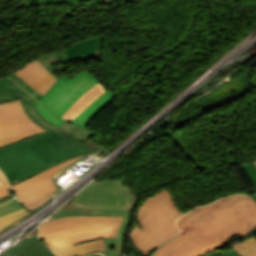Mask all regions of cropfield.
<instances>
[{
    "label": "crop field",
    "mask_w": 256,
    "mask_h": 256,
    "mask_svg": "<svg viewBox=\"0 0 256 256\" xmlns=\"http://www.w3.org/2000/svg\"><path fill=\"white\" fill-rule=\"evenodd\" d=\"M89 151L73 136L48 131L0 148V168L12 185Z\"/></svg>",
    "instance_id": "crop-field-1"
},
{
    "label": "crop field",
    "mask_w": 256,
    "mask_h": 256,
    "mask_svg": "<svg viewBox=\"0 0 256 256\" xmlns=\"http://www.w3.org/2000/svg\"><path fill=\"white\" fill-rule=\"evenodd\" d=\"M182 214L169 190L163 189L145 200L130 239L143 255L148 256L163 241L180 232L173 221Z\"/></svg>",
    "instance_id": "crop-field-2"
},
{
    "label": "crop field",
    "mask_w": 256,
    "mask_h": 256,
    "mask_svg": "<svg viewBox=\"0 0 256 256\" xmlns=\"http://www.w3.org/2000/svg\"><path fill=\"white\" fill-rule=\"evenodd\" d=\"M176 224L186 229L151 256H201L229 243L202 207L194 208Z\"/></svg>",
    "instance_id": "crop-field-3"
},
{
    "label": "crop field",
    "mask_w": 256,
    "mask_h": 256,
    "mask_svg": "<svg viewBox=\"0 0 256 256\" xmlns=\"http://www.w3.org/2000/svg\"><path fill=\"white\" fill-rule=\"evenodd\" d=\"M122 218L73 216L50 220L42 225L40 239L55 251L100 237L113 238L117 234Z\"/></svg>",
    "instance_id": "crop-field-4"
},
{
    "label": "crop field",
    "mask_w": 256,
    "mask_h": 256,
    "mask_svg": "<svg viewBox=\"0 0 256 256\" xmlns=\"http://www.w3.org/2000/svg\"><path fill=\"white\" fill-rule=\"evenodd\" d=\"M96 83L97 78L84 70L73 79L62 76L39 101L62 117L69 107Z\"/></svg>",
    "instance_id": "crop-field-5"
},
{
    "label": "crop field",
    "mask_w": 256,
    "mask_h": 256,
    "mask_svg": "<svg viewBox=\"0 0 256 256\" xmlns=\"http://www.w3.org/2000/svg\"><path fill=\"white\" fill-rule=\"evenodd\" d=\"M44 130L37 126L24 112L20 100L0 104V147L42 134Z\"/></svg>",
    "instance_id": "crop-field-6"
},
{
    "label": "crop field",
    "mask_w": 256,
    "mask_h": 256,
    "mask_svg": "<svg viewBox=\"0 0 256 256\" xmlns=\"http://www.w3.org/2000/svg\"><path fill=\"white\" fill-rule=\"evenodd\" d=\"M123 195L120 181L91 182L72 202V206L102 209L134 210L137 203H128Z\"/></svg>",
    "instance_id": "crop-field-7"
},
{
    "label": "crop field",
    "mask_w": 256,
    "mask_h": 256,
    "mask_svg": "<svg viewBox=\"0 0 256 256\" xmlns=\"http://www.w3.org/2000/svg\"><path fill=\"white\" fill-rule=\"evenodd\" d=\"M81 156L58 164L30 179L10 187L13 193L33 213L50 201L52 193L58 189L51 181L52 176L64 166L80 158Z\"/></svg>",
    "instance_id": "crop-field-8"
},
{
    "label": "crop field",
    "mask_w": 256,
    "mask_h": 256,
    "mask_svg": "<svg viewBox=\"0 0 256 256\" xmlns=\"http://www.w3.org/2000/svg\"><path fill=\"white\" fill-rule=\"evenodd\" d=\"M240 234L256 227V203L251 196L235 195L215 202Z\"/></svg>",
    "instance_id": "crop-field-9"
},
{
    "label": "crop field",
    "mask_w": 256,
    "mask_h": 256,
    "mask_svg": "<svg viewBox=\"0 0 256 256\" xmlns=\"http://www.w3.org/2000/svg\"><path fill=\"white\" fill-rule=\"evenodd\" d=\"M132 211L122 210H102V209H91V208H79V207H67L53 218L73 216V215H94V216H124L120 229L116 238L104 239L107 246V251L101 252L104 256H127L122 254L121 249L124 241V236L128 225L130 223V215Z\"/></svg>",
    "instance_id": "crop-field-10"
},
{
    "label": "crop field",
    "mask_w": 256,
    "mask_h": 256,
    "mask_svg": "<svg viewBox=\"0 0 256 256\" xmlns=\"http://www.w3.org/2000/svg\"><path fill=\"white\" fill-rule=\"evenodd\" d=\"M18 96L23 104V108L26 112V114L40 127L56 131V132H61V133H66L70 135H74L75 137L79 138L80 140L84 141L88 139L89 137L95 135L94 133L88 131L85 128L75 126L73 124L65 122L60 128L55 127L49 123H47L36 111L34 105H33V98L27 94L25 91L16 95Z\"/></svg>",
    "instance_id": "crop-field-11"
},
{
    "label": "crop field",
    "mask_w": 256,
    "mask_h": 256,
    "mask_svg": "<svg viewBox=\"0 0 256 256\" xmlns=\"http://www.w3.org/2000/svg\"><path fill=\"white\" fill-rule=\"evenodd\" d=\"M104 35L74 42L72 46L64 49L69 60H81L88 62L94 59H101Z\"/></svg>",
    "instance_id": "crop-field-12"
},
{
    "label": "crop field",
    "mask_w": 256,
    "mask_h": 256,
    "mask_svg": "<svg viewBox=\"0 0 256 256\" xmlns=\"http://www.w3.org/2000/svg\"><path fill=\"white\" fill-rule=\"evenodd\" d=\"M15 74L43 95L46 94L52 84L57 80L37 60L30 62Z\"/></svg>",
    "instance_id": "crop-field-13"
},
{
    "label": "crop field",
    "mask_w": 256,
    "mask_h": 256,
    "mask_svg": "<svg viewBox=\"0 0 256 256\" xmlns=\"http://www.w3.org/2000/svg\"><path fill=\"white\" fill-rule=\"evenodd\" d=\"M3 256H56L51 252L38 238V230H35L14 248L8 251ZM90 256H102L100 254H93Z\"/></svg>",
    "instance_id": "crop-field-14"
},
{
    "label": "crop field",
    "mask_w": 256,
    "mask_h": 256,
    "mask_svg": "<svg viewBox=\"0 0 256 256\" xmlns=\"http://www.w3.org/2000/svg\"><path fill=\"white\" fill-rule=\"evenodd\" d=\"M104 85L98 83L86 93H84L65 113L62 117L66 120L73 121L88 105H90L97 97L105 92Z\"/></svg>",
    "instance_id": "crop-field-15"
},
{
    "label": "crop field",
    "mask_w": 256,
    "mask_h": 256,
    "mask_svg": "<svg viewBox=\"0 0 256 256\" xmlns=\"http://www.w3.org/2000/svg\"><path fill=\"white\" fill-rule=\"evenodd\" d=\"M116 93L106 91L103 95L97 98L90 106H88L77 118H75L73 124L87 127L88 123L104 106L109 104Z\"/></svg>",
    "instance_id": "crop-field-16"
},
{
    "label": "crop field",
    "mask_w": 256,
    "mask_h": 256,
    "mask_svg": "<svg viewBox=\"0 0 256 256\" xmlns=\"http://www.w3.org/2000/svg\"><path fill=\"white\" fill-rule=\"evenodd\" d=\"M102 250H106V246L103 239L100 238L97 240L76 244L73 245V248L55 251L54 253L58 256H81Z\"/></svg>",
    "instance_id": "crop-field-17"
},
{
    "label": "crop field",
    "mask_w": 256,
    "mask_h": 256,
    "mask_svg": "<svg viewBox=\"0 0 256 256\" xmlns=\"http://www.w3.org/2000/svg\"><path fill=\"white\" fill-rule=\"evenodd\" d=\"M203 209L210 215L219 229L225 234L227 238L233 237L235 235H239L238 231L234 228V226L227 220V218L222 214L219 208L212 203L203 207Z\"/></svg>",
    "instance_id": "crop-field-18"
},
{
    "label": "crop field",
    "mask_w": 256,
    "mask_h": 256,
    "mask_svg": "<svg viewBox=\"0 0 256 256\" xmlns=\"http://www.w3.org/2000/svg\"><path fill=\"white\" fill-rule=\"evenodd\" d=\"M19 87L10 78L0 79V103L18 99L15 95L24 91Z\"/></svg>",
    "instance_id": "crop-field-19"
},
{
    "label": "crop field",
    "mask_w": 256,
    "mask_h": 256,
    "mask_svg": "<svg viewBox=\"0 0 256 256\" xmlns=\"http://www.w3.org/2000/svg\"><path fill=\"white\" fill-rule=\"evenodd\" d=\"M42 66L48 71L50 72L54 77L57 78L56 74L53 72V69L51 67V65L55 64V63H59V62H69L68 58L66 57L65 53L63 52V50L46 55L42 58L37 59ZM58 79V78H57Z\"/></svg>",
    "instance_id": "crop-field-20"
},
{
    "label": "crop field",
    "mask_w": 256,
    "mask_h": 256,
    "mask_svg": "<svg viewBox=\"0 0 256 256\" xmlns=\"http://www.w3.org/2000/svg\"><path fill=\"white\" fill-rule=\"evenodd\" d=\"M241 256H256V238L251 237L231 246Z\"/></svg>",
    "instance_id": "crop-field-21"
},
{
    "label": "crop field",
    "mask_w": 256,
    "mask_h": 256,
    "mask_svg": "<svg viewBox=\"0 0 256 256\" xmlns=\"http://www.w3.org/2000/svg\"><path fill=\"white\" fill-rule=\"evenodd\" d=\"M30 213L25 209L15 211L13 213L7 214L0 217V231L3 230L6 226L14 223L15 221L29 215Z\"/></svg>",
    "instance_id": "crop-field-22"
},
{
    "label": "crop field",
    "mask_w": 256,
    "mask_h": 256,
    "mask_svg": "<svg viewBox=\"0 0 256 256\" xmlns=\"http://www.w3.org/2000/svg\"><path fill=\"white\" fill-rule=\"evenodd\" d=\"M36 100V99H35ZM33 101L40 115L48 122L53 125L60 127L65 121L60 119L59 117L53 115L50 111H48L41 103L37 101Z\"/></svg>",
    "instance_id": "crop-field-23"
},
{
    "label": "crop field",
    "mask_w": 256,
    "mask_h": 256,
    "mask_svg": "<svg viewBox=\"0 0 256 256\" xmlns=\"http://www.w3.org/2000/svg\"><path fill=\"white\" fill-rule=\"evenodd\" d=\"M20 208H23V206L18 202L17 199L10 200L0 205V216L18 210Z\"/></svg>",
    "instance_id": "crop-field-24"
},
{
    "label": "crop field",
    "mask_w": 256,
    "mask_h": 256,
    "mask_svg": "<svg viewBox=\"0 0 256 256\" xmlns=\"http://www.w3.org/2000/svg\"><path fill=\"white\" fill-rule=\"evenodd\" d=\"M241 166L256 190V166L254 162L244 163Z\"/></svg>",
    "instance_id": "crop-field-25"
},
{
    "label": "crop field",
    "mask_w": 256,
    "mask_h": 256,
    "mask_svg": "<svg viewBox=\"0 0 256 256\" xmlns=\"http://www.w3.org/2000/svg\"><path fill=\"white\" fill-rule=\"evenodd\" d=\"M17 84H19L21 87H23L26 91H28L32 96H34L36 99H40L43 95H41L39 92H37L35 89H33L31 86H29L27 83H25L22 79H20L15 74L10 76Z\"/></svg>",
    "instance_id": "crop-field-26"
},
{
    "label": "crop field",
    "mask_w": 256,
    "mask_h": 256,
    "mask_svg": "<svg viewBox=\"0 0 256 256\" xmlns=\"http://www.w3.org/2000/svg\"><path fill=\"white\" fill-rule=\"evenodd\" d=\"M8 183L0 185V197L8 194Z\"/></svg>",
    "instance_id": "crop-field-27"
},
{
    "label": "crop field",
    "mask_w": 256,
    "mask_h": 256,
    "mask_svg": "<svg viewBox=\"0 0 256 256\" xmlns=\"http://www.w3.org/2000/svg\"><path fill=\"white\" fill-rule=\"evenodd\" d=\"M122 188H123L124 194H129V195H130V200H129V202H135V199H134L132 193L129 191V189L126 188V187H122Z\"/></svg>",
    "instance_id": "crop-field-28"
},
{
    "label": "crop field",
    "mask_w": 256,
    "mask_h": 256,
    "mask_svg": "<svg viewBox=\"0 0 256 256\" xmlns=\"http://www.w3.org/2000/svg\"><path fill=\"white\" fill-rule=\"evenodd\" d=\"M5 182H8L4 173L0 170V184L1 183H5Z\"/></svg>",
    "instance_id": "crop-field-29"
},
{
    "label": "crop field",
    "mask_w": 256,
    "mask_h": 256,
    "mask_svg": "<svg viewBox=\"0 0 256 256\" xmlns=\"http://www.w3.org/2000/svg\"><path fill=\"white\" fill-rule=\"evenodd\" d=\"M12 198L13 197L10 194H8V195L0 198V203L4 202L6 200L12 199Z\"/></svg>",
    "instance_id": "crop-field-30"
},
{
    "label": "crop field",
    "mask_w": 256,
    "mask_h": 256,
    "mask_svg": "<svg viewBox=\"0 0 256 256\" xmlns=\"http://www.w3.org/2000/svg\"><path fill=\"white\" fill-rule=\"evenodd\" d=\"M227 254V256H240L238 253H236L234 250H232V251H230V252H228V253H226Z\"/></svg>",
    "instance_id": "crop-field-31"
},
{
    "label": "crop field",
    "mask_w": 256,
    "mask_h": 256,
    "mask_svg": "<svg viewBox=\"0 0 256 256\" xmlns=\"http://www.w3.org/2000/svg\"><path fill=\"white\" fill-rule=\"evenodd\" d=\"M253 199L256 201V194L255 195H252Z\"/></svg>",
    "instance_id": "crop-field-32"
},
{
    "label": "crop field",
    "mask_w": 256,
    "mask_h": 256,
    "mask_svg": "<svg viewBox=\"0 0 256 256\" xmlns=\"http://www.w3.org/2000/svg\"><path fill=\"white\" fill-rule=\"evenodd\" d=\"M256 163V161H254Z\"/></svg>",
    "instance_id": "crop-field-33"
}]
</instances>
